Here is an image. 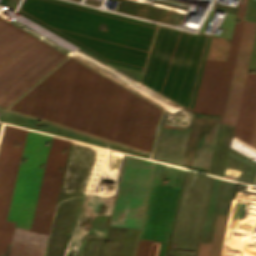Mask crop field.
Masks as SVG:
<instances>
[{
    "mask_svg": "<svg viewBox=\"0 0 256 256\" xmlns=\"http://www.w3.org/2000/svg\"><path fill=\"white\" fill-rule=\"evenodd\" d=\"M249 144L256 147V115H255V120H254V124H253V128H252V133H251Z\"/></svg>",
    "mask_w": 256,
    "mask_h": 256,
    "instance_id": "14",
    "label": "crop field"
},
{
    "mask_svg": "<svg viewBox=\"0 0 256 256\" xmlns=\"http://www.w3.org/2000/svg\"><path fill=\"white\" fill-rule=\"evenodd\" d=\"M210 36L160 26L142 83L193 110Z\"/></svg>",
    "mask_w": 256,
    "mask_h": 256,
    "instance_id": "4",
    "label": "crop field"
},
{
    "mask_svg": "<svg viewBox=\"0 0 256 256\" xmlns=\"http://www.w3.org/2000/svg\"><path fill=\"white\" fill-rule=\"evenodd\" d=\"M226 216L227 215H222V214H218V216H217L215 229H214L208 256H219L221 244H222V240H223V236H224V234H222V232H223Z\"/></svg>",
    "mask_w": 256,
    "mask_h": 256,
    "instance_id": "12",
    "label": "crop field"
},
{
    "mask_svg": "<svg viewBox=\"0 0 256 256\" xmlns=\"http://www.w3.org/2000/svg\"><path fill=\"white\" fill-rule=\"evenodd\" d=\"M23 129L7 126L5 127L3 140L0 148V218L3 219L6 204L10 192L13 174L19 153V147H13L14 140L21 141ZM27 130L24 132L22 145L18 157L15 175L11 187L8 205L4 219L6 220L13 186L22 153ZM46 139L50 140L48 145H43ZM53 137L37 132H27L22 155L28 157L25 162H20L13 196L7 220L16 222L17 227L32 228L42 181L46 169ZM69 140L54 137L43 186L39 198L36 216L32 230L48 234L55 202L70 146ZM66 147L64 154L60 151ZM44 162L43 169H39L40 163ZM62 166V171H58ZM0 220V253L5 252L7 242H10L14 224L13 222Z\"/></svg>",
    "mask_w": 256,
    "mask_h": 256,
    "instance_id": "2",
    "label": "crop field"
},
{
    "mask_svg": "<svg viewBox=\"0 0 256 256\" xmlns=\"http://www.w3.org/2000/svg\"><path fill=\"white\" fill-rule=\"evenodd\" d=\"M210 244L200 243L197 256H207Z\"/></svg>",
    "mask_w": 256,
    "mask_h": 256,
    "instance_id": "13",
    "label": "crop field"
},
{
    "mask_svg": "<svg viewBox=\"0 0 256 256\" xmlns=\"http://www.w3.org/2000/svg\"><path fill=\"white\" fill-rule=\"evenodd\" d=\"M18 13L104 61L142 70L158 27L57 0H24Z\"/></svg>",
    "mask_w": 256,
    "mask_h": 256,
    "instance_id": "3",
    "label": "crop field"
},
{
    "mask_svg": "<svg viewBox=\"0 0 256 256\" xmlns=\"http://www.w3.org/2000/svg\"><path fill=\"white\" fill-rule=\"evenodd\" d=\"M256 111V75L246 74L232 134L248 142Z\"/></svg>",
    "mask_w": 256,
    "mask_h": 256,
    "instance_id": "10",
    "label": "crop field"
},
{
    "mask_svg": "<svg viewBox=\"0 0 256 256\" xmlns=\"http://www.w3.org/2000/svg\"><path fill=\"white\" fill-rule=\"evenodd\" d=\"M10 109L150 151L163 111L71 57Z\"/></svg>",
    "mask_w": 256,
    "mask_h": 256,
    "instance_id": "1",
    "label": "crop field"
},
{
    "mask_svg": "<svg viewBox=\"0 0 256 256\" xmlns=\"http://www.w3.org/2000/svg\"><path fill=\"white\" fill-rule=\"evenodd\" d=\"M246 0L240 3L237 16L242 21ZM240 23H235L227 61L206 59L194 110L197 113L220 115L232 68Z\"/></svg>",
    "mask_w": 256,
    "mask_h": 256,
    "instance_id": "6",
    "label": "crop field"
},
{
    "mask_svg": "<svg viewBox=\"0 0 256 256\" xmlns=\"http://www.w3.org/2000/svg\"><path fill=\"white\" fill-rule=\"evenodd\" d=\"M179 190L157 185L144 240H139L135 256H164Z\"/></svg>",
    "mask_w": 256,
    "mask_h": 256,
    "instance_id": "7",
    "label": "crop field"
},
{
    "mask_svg": "<svg viewBox=\"0 0 256 256\" xmlns=\"http://www.w3.org/2000/svg\"><path fill=\"white\" fill-rule=\"evenodd\" d=\"M219 118L216 116L194 115L183 166L207 172Z\"/></svg>",
    "mask_w": 256,
    "mask_h": 256,
    "instance_id": "9",
    "label": "crop field"
},
{
    "mask_svg": "<svg viewBox=\"0 0 256 256\" xmlns=\"http://www.w3.org/2000/svg\"><path fill=\"white\" fill-rule=\"evenodd\" d=\"M47 238V235L15 227L8 256H43Z\"/></svg>",
    "mask_w": 256,
    "mask_h": 256,
    "instance_id": "11",
    "label": "crop field"
},
{
    "mask_svg": "<svg viewBox=\"0 0 256 256\" xmlns=\"http://www.w3.org/2000/svg\"><path fill=\"white\" fill-rule=\"evenodd\" d=\"M255 29V22L243 20L220 123H234Z\"/></svg>",
    "mask_w": 256,
    "mask_h": 256,
    "instance_id": "8",
    "label": "crop field"
},
{
    "mask_svg": "<svg viewBox=\"0 0 256 256\" xmlns=\"http://www.w3.org/2000/svg\"><path fill=\"white\" fill-rule=\"evenodd\" d=\"M65 57L0 18V106L21 95Z\"/></svg>",
    "mask_w": 256,
    "mask_h": 256,
    "instance_id": "5",
    "label": "crop field"
}]
</instances>
